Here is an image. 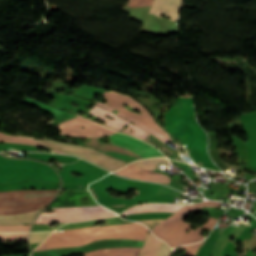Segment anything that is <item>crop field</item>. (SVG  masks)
I'll return each mask as SVG.
<instances>
[{
    "label": "crop field",
    "instance_id": "412701ff",
    "mask_svg": "<svg viewBox=\"0 0 256 256\" xmlns=\"http://www.w3.org/2000/svg\"><path fill=\"white\" fill-rule=\"evenodd\" d=\"M219 202L207 201L199 204L188 205L183 207L177 213L156 225L151 231L159 238L166 241V243L175 247L181 244L195 243L203 240L206 236H201L204 228L212 229L216 220L209 219V221L202 227L196 230H191L192 225L183 221V217L188 215L190 208L201 206H219ZM189 230V233L186 232Z\"/></svg>",
    "mask_w": 256,
    "mask_h": 256
},
{
    "label": "crop field",
    "instance_id": "3316defc",
    "mask_svg": "<svg viewBox=\"0 0 256 256\" xmlns=\"http://www.w3.org/2000/svg\"><path fill=\"white\" fill-rule=\"evenodd\" d=\"M140 248L105 249L84 254V256H138Z\"/></svg>",
    "mask_w": 256,
    "mask_h": 256
},
{
    "label": "crop field",
    "instance_id": "cbeb9de0",
    "mask_svg": "<svg viewBox=\"0 0 256 256\" xmlns=\"http://www.w3.org/2000/svg\"><path fill=\"white\" fill-rule=\"evenodd\" d=\"M158 162H162L166 164L169 163V161L165 158H155V159L139 160V161L133 162L132 164L154 171L158 165Z\"/></svg>",
    "mask_w": 256,
    "mask_h": 256
},
{
    "label": "crop field",
    "instance_id": "d9b57169",
    "mask_svg": "<svg viewBox=\"0 0 256 256\" xmlns=\"http://www.w3.org/2000/svg\"><path fill=\"white\" fill-rule=\"evenodd\" d=\"M30 225H0V233L2 232H24L29 230Z\"/></svg>",
    "mask_w": 256,
    "mask_h": 256
},
{
    "label": "crop field",
    "instance_id": "d1516ede",
    "mask_svg": "<svg viewBox=\"0 0 256 256\" xmlns=\"http://www.w3.org/2000/svg\"><path fill=\"white\" fill-rule=\"evenodd\" d=\"M161 242V240L155 238L151 233H149L143 249L141 248L142 251L139 256H155Z\"/></svg>",
    "mask_w": 256,
    "mask_h": 256
},
{
    "label": "crop field",
    "instance_id": "8a807250",
    "mask_svg": "<svg viewBox=\"0 0 256 256\" xmlns=\"http://www.w3.org/2000/svg\"><path fill=\"white\" fill-rule=\"evenodd\" d=\"M72 94H75L77 96L90 98L93 100V97L97 94H102L104 96V100H107L106 104L100 102H96L101 107L127 119L132 122H134L139 127L143 128L147 132L154 135L156 138H158L161 142H165L167 140H171L174 142L177 146L181 145L177 140L171 138L159 125H157L152 117V115L139 103L138 101L134 100L132 96L122 93H117L114 91H105L104 89L92 87V86H85L83 88H77L71 91ZM49 95L53 96L56 100L55 103H52L55 106H58L60 108L68 109L73 108L74 110L72 112L76 113L77 111H83L87 112L88 114L83 115L84 117L93 116L92 120H102L105 121L106 125L116 129L120 130L121 126H125V124H129L127 129H124L122 131L127 132L135 137H139L141 139H145L149 136L147 132L141 130L140 128L136 127L135 125L130 124L128 121L120 118L119 116L91 103L88 101H85L83 99L67 96L63 94H53L48 93ZM94 101V100H93ZM70 102L78 103L80 104L79 107L71 106ZM94 105L90 109H86L85 105ZM124 104H128L130 107L126 108L124 107ZM139 110L141 114H136L132 112L133 110ZM71 111V110H70ZM112 116L115 119L110 120L106 118L105 116ZM132 130L133 132H130ZM155 137L151 136L149 137L150 140H146L147 142L153 144L157 148H159L165 155L173 152L174 150L166 146L165 144H162L159 140H157Z\"/></svg>",
    "mask_w": 256,
    "mask_h": 256
},
{
    "label": "crop field",
    "instance_id": "5a996713",
    "mask_svg": "<svg viewBox=\"0 0 256 256\" xmlns=\"http://www.w3.org/2000/svg\"><path fill=\"white\" fill-rule=\"evenodd\" d=\"M183 206L178 205H172V204H146V205H140L135 208H132L125 213L121 214H133V213H140V212H156V211H165V212H172L175 213L179 209H181Z\"/></svg>",
    "mask_w": 256,
    "mask_h": 256
},
{
    "label": "crop field",
    "instance_id": "5142ce71",
    "mask_svg": "<svg viewBox=\"0 0 256 256\" xmlns=\"http://www.w3.org/2000/svg\"><path fill=\"white\" fill-rule=\"evenodd\" d=\"M105 220L107 224L110 223H117V222H129V221H124L120 217H115V218H108V219H101ZM101 220H96V221H90V222H84V223H74V224H67L59 229H66V228H78V227H86V226H91L94 225L96 222L101 221Z\"/></svg>",
    "mask_w": 256,
    "mask_h": 256
},
{
    "label": "crop field",
    "instance_id": "4a817a6b",
    "mask_svg": "<svg viewBox=\"0 0 256 256\" xmlns=\"http://www.w3.org/2000/svg\"><path fill=\"white\" fill-rule=\"evenodd\" d=\"M28 233L0 234V239L4 241L27 240Z\"/></svg>",
    "mask_w": 256,
    "mask_h": 256
},
{
    "label": "crop field",
    "instance_id": "28ad6ade",
    "mask_svg": "<svg viewBox=\"0 0 256 256\" xmlns=\"http://www.w3.org/2000/svg\"><path fill=\"white\" fill-rule=\"evenodd\" d=\"M40 210L11 216H0V224L31 223Z\"/></svg>",
    "mask_w": 256,
    "mask_h": 256
},
{
    "label": "crop field",
    "instance_id": "34b2d1b8",
    "mask_svg": "<svg viewBox=\"0 0 256 256\" xmlns=\"http://www.w3.org/2000/svg\"><path fill=\"white\" fill-rule=\"evenodd\" d=\"M58 126L61 129L60 134H69L71 136L96 137V136H108L113 133H116L101 125H98L90 120H87L79 116L74 117L70 120H67L59 124ZM80 126H84L85 128L80 129L79 128ZM109 137L111 138L110 143L138 157H141V158H149V157H155V156L164 157L157 149L129 135L117 133ZM109 155L115 156L121 160L128 161V162L135 161L134 158L118 156L113 154H109Z\"/></svg>",
    "mask_w": 256,
    "mask_h": 256
},
{
    "label": "crop field",
    "instance_id": "92a150f3",
    "mask_svg": "<svg viewBox=\"0 0 256 256\" xmlns=\"http://www.w3.org/2000/svg\"><path fill=\"white\" fill-rule=\"evenodd\" d=\"M162 220H139V222L144 223L150 230Z\"/></svg>",
    "mask_w": 256,
    "mask_h": 256
},
{
    "label": "crop field",
    "instance_id": "f4fd0767",
    "mask_svg": "<svg viewBox=\"0 0 256 256\" xmlns=\"http://www.w3.org/2000/svg\"><path fill=\"white\" fill-rule=\"evenodd\" d=\"M53 209H58V210L56 212H53V213L40 214V216L107 210V209H105V208H103L101 206L72 207V208H53ZM115 215L116 214L114 212H112V211H104V212H92V213L44 216V217H38V219L35 221V223L48 224V223H51L53 221L76 222V221H84V220H89V219H94V218H102V217L115 216Z\"/></svg>",
    "mask_w": 256,
    "mask_h": 256
},
{
    "label": "crop field",
    "instance_id": "214f88e0",
    "mask_svg": "<svg viewBox=\"0 0 256 256\" xmlns=\"http://www.w3.org/2000/svg\"><path fill=\"white\" fill-rule=\"evenodd\" d=\"M64 223H60L57 227L55 228H50L48 225H40V224H35L32 228V231H45V230H54L61 226Z\"/></svg>",
    "mask_w": 256,
    "mask_h": 256
},
{
    "label": "crop field",
    "instance_id": "d8731c3e",
    "mask_svg": "<svg viewBox=\"0 0 256 256\" xmlns=\"http://www.w3.org/2000/svg\"><path fill=\"white\" fill-rule=\"evenodd\" d=\"M118 173H121L124 176L133 177L136 179H144V180H150L155 182L168 183L170 181V177L166 175L147 171L139 167H135L131 164L125 167L123 170L119 171Z\"/></svg>",
    "mask_w": 256,
    "mask_h": 256
},
{
    "label": "crop field",
    "instance_id": "e52e79f7",
    "mask_svg": "<svg viewBox=\"0 0 256 256\" xmlns=\"http://www.w3.org/2000/svg\"><path fill=\"white\" fill-rule=\"evenodd\" d=\"M180 9L181 0H154L149 13L159 17L164 13L176 21Z\"/></svg>",
    "mask_w": 256,
    "mask_h": 256
},
{
    "label": "crop field",
    "instance_id": "dafd665d",
    "mask_svg": "<svg viewBox=\"0 0 256 256\" xmlns=\"http://www.w3.org/2000/svg\"><path fill=\"white\" fill-rule=\"evenodd\" d=\"M51 149V148H50ZM53 152L55 153H60V154H68V153H65L63 151H59V150H55V149H51Z\"/></svg>",
    "mask_w": 256,
    "mask_h": 256
},
{
    "label": "crop field",
    "instance_id": "dd49c442",
    "mask_svg": "<svg viewBox=\"0 0 256 256\" xmlns=\"http://www.w3.org/2000/svg\"><path fill=\"white\" fill-rule=\"evenodd\" d=\"M92 197L89 191L61 192L57 198ZM84 205H99L93 198L55 199L48 207H70Z\"/></svg>",
    "mask_w": 256,
    "mask_h": 256
},
{
    "label": "crop field",
    "instance_id": "733c2abd",
    "mask_svg": "<svg viewBox=\"0 0 256 256\" xmlns=\"http://www.w3.org/2000/svg\"><path fill=\"white\" fill-rule=\"evenodd\" d=\"M51 232L31 233V235H30V245L40 244Z\"/></svg>",
    "mask_w": 256,
    "mask_h": 256
},
{
    "label": "crop field",
    "instance_id": "bc2a9ffb",
    "mask_svg": "<svg viewBox=\"0 0 256 256\" xmlns=\"http://www.w3.org/2000/svg\"><path fill=\"white\" fill-rule=\"evenodd\" d=\"M171 248L166 245L165 242H162L161 247L158 251L157 256H169L171 252Z\"/></svg>",
    "mask_w": 256,
    "mask_h": 256
},
{
    "label": "crop field",
    "instance_id": "ac0d7876",
    "mask_svg": "<svg viewBox=\"0 0 256 256\" xmlns=\"http://www.w3.org/2000/svg\"><path fill=\"white\" fill-rule=\"evenodd\" d=\"M148 232L147 227L138 222L86 229L56 230L34 251L79 246L105 238L144 240Z\"/></svg>",
    "mask_w": 256,
    "mask_h": 256
},
{
    "label": "crop field",
    "instance_id": "22f410ed",
    "mask_svg": "<svg viewBox=\"0 0 256 256\" xmlns=\"http://www.w3.org/2000/svg\"><path fill=\"white\" fill-rule=\"evenodd\" d=\"M0 141L13 142V143H24V144H30V145H36V146H45V145H43L39 142H36L30 138L10 136V135H6V134H2V133H0Z\"/></svg>",
    "mask_w": 256,
    "mask_h": 256
}]
</instances>
